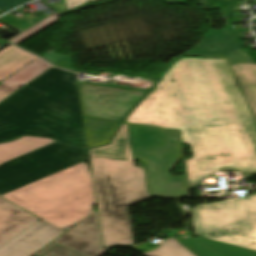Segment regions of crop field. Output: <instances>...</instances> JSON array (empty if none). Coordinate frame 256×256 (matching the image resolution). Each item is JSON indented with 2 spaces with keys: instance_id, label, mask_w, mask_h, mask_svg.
<instances>
[{
  "instance_id": "8a807250",
  "label": "crop field",
  "mask_w": 256,
  "mask_h": 256,
  "mask_svg": "<svg viewBox=\"0 0 256 256\" xmlns=\"http://www.w3.org/2000/svg\"><path fill=\"white\" fill-rule=\"evenodd\" d=\"M227 59L180 57L124 122L181 131L189 189L229 167L256 173V121Z\"/></svg>"
},
{
  "instance_id": "ac0d7876",
  "label": "crop field",
  "mask_w": 256,
  "mask_h": 256,
  "mask_svg": "<svg viewBox=\"0 0 256 256\" xmlns=\"http://www.w3.org/2000/svg\"><path fill=\"white\" fill-rule=\"evenodd\" d=\"M104 247L134 244L128 206L152 197L187 195L184 177L168 170L181 158L178 131L122 123L109 145L89 150Z\"/></svg>"
},
{
  "instance_id": "34b2d1b8",
  "label": "crop field",
  "mask_w": 256,
  "mask_h": 256,
  "mask_svg": "<svg viewBox=\"0 0 256 256\" xmlns=\"http://www.w3.org/2000/svg\"><path fill=\"white\" fill-rule=\"evenodd\" d=\"M24 134L88 148L74 73L52 67L0 103V142Z\"/></svg>"
},
{
  "instance_id": "412701ff",
  "label": "crop field",
  "mask_w": 256,
  "mask_h": 256,
  "mask_svg": "<svg viewBox=\"0 0 256 256\" xmlns=\"http://www.w3.org/2000/svg\"><path fill=\"white\" fill-rule=\"evenodd\" d=\"M2 196L61 229L81 222L96 203L85 162Z\"/></svg>"
},
{
  "instance_id": "f4fd0767",
  "label": "crop field",
  "mask_w": 256,
  "mask_h": 256,
  "mask_svg": "<svg viewBox=\"0 0 256 256\" xmlns=\"http://www.w3.org/2000/svg\"><path fill=\"white\" fill-rule=\"evenodd\" d=\"M195 235L256 250V194L192 211Z\"/></svg>"
},
{
  "instance_id": "dd49c442",
  "label": "crop field",
  "mask_w": 256,
  "mask_h": 256,
  "mask_svg": "<svg viewBox=\"0 0 256 256\" xmlns=\"http://www.w3.org/2000/svg\"><path fill=\"white\" fill-rule=\"evenodd\" d=\"M88 150L58 142L0 165V195L86 161Z\"/></svg>"
},
{
  "instance_id": "e52e79f7",
  "label": "crop field",
  "mask_w": 256,
  "mask_h": 256,
  "mask_svg": "<svg viewBox=\"0 0 256 256\" xmlns=\"http://www.w3.org/2000/svg\"><path fill=\"white\" fill-rule=\"evenodd\" d=\"M243 43L232 25L209 30L197 47L184 56L228 58L256 115V65L241 53Z\"/></svg>"
},
{
  "instance_id": "d8731c3e",
  "label": "crop field",
  "mask_w": 256,
  "mask_h": 256,
  "mask_svg": "<svg viewBox=\"0 0 256 256\" xmlns=\"http://www.w3.org/2000/svg\"><path fill=\"white\" fill-rule=\"evenodd\" d=\"M79 89L84 116L118 121H122L146 93L85 82H79Z\"/></svg>"
},
{
  "instance_id": "5a996713",
  "label": "crop field",
  "mask_w": 256,
  "mask_h": 256,
  "mask_svg": "<svg viewBox=\"0 0 256 256\" xmlns=\"http://www.w3.org/2000/svg\"><path fill=\"white\" fill-rule=\"evenodd\" d=\"M54 243L88 256H101L111 248H103L97 212L59 237Z\"/></svg>"
},
{
  "instance_id": "3316defc",
  "label": "crop field",
  "mask_w": 256,
  "mask_h": 256,
  "mask_svg": "<svg viewBox=\"0 0 256 256\" xmlns=\"http://www.w3.org/2000/svg\"><path fill=\"white\" fill-rule=\"evenodd\" d=\"M64 232L38 221L0 248V256H30Z\"/></svg>"
},
{
  "instance_id": "28ad6ade",
  "label": "crop field",
  "mask_w": 256,
  "mask_h": 256,
  "mask_svg": "<svg viewBox=\"0 0 256 256\" xmlns=\"http://www.w3.org/2000/svg\"><path fill=\"white\" fill-rule=\"evenodd\" d=\"M38 220L0 198V247Z\"/></svg>"
},
{
  "instance_id": "d1516ede",
  "label": "crop field",
  "mask_w": 256,
  "mask_h": 256,
  "mask_svg": "<svg viewBox=\"0 0 256 256\" xmlns=\"http://www.w3.org/2000/svg\"><path fill=\"white\" fill-rule=\"evenodd\" d=\"M180 242L197 256H256V251L202 237H191Z\"/></svg>"
},
{
  "instance_id": "22f410ed",
  "label": "crop field",
  "mask_w": 256,
  "mask_h": 256,
  "mask_svg": "<svg viewBox=\"0 0 256 256\" xmlns=\"http://www.w3.org/2000/svg\"><path fill=\"white\" fill-rule=\"evenodd\" d=\"M52 67L51 65L45 63L41 59H36L5 81L3 85H0V101L7 95L18 89L20 86L27 84L38 75ZM8 97V96H7Z\"/></svg>"
},
{
  "instance_id": "cbeb9de0",
  "label": "crop field",
  "mask_w": 256,
  "mask_h": 256,
  "mask_svg": "<svg viewBox=\"0 0 256 256\" xmlns=\"http://www.w3.org/2000/svg\"><path fill=\"white\" fill-rule=\"evenodd\" d=\"M89 148L108 144L121 122L84 117Z\"/></svg>"
},
{
  "instance_id": "5142ce71",
  "label": "crop field",
  "mask_w": 256,
  "mask_h": 256,
  "mask_svg": "<svg viewBox=\"0 0 256 256\" xmlns=\"http://www.w3.org/2000/svg\"><path fill=\"white\" fill-rule=\"evenodd\" d=\"M35 58L12 45L0 51V82Z\"/></svg>"
},
{
  "instance_id": "d9b57169",
  "label": "crop field",
  "mask_w": 256,
  "mask_h": 256,
  "mask_svg": "<svg viewBox=\"0 0 256 256\" xmlns=\"http://www.w3.org/2000/svg\"><path fill=\"white\" fill-rule=\"evenodd\" d=\"M52 141L54 140L25 136L12 142L0 144V163Z\"/></svg>"
},
{
  "instance_id": "733c2abd",
  "label": "crop field",
  "mask_w": 256,
  "mask_h": 256,
  "mask_svg": "<svg viewBox=\"0 0 256 256\" xmlns=\"http://www.w3.org/2000/svg\"><path fill=\"white\" fill-rule=\"evenodd\" d=\"M143 254L145 256H194L173 238L162 242L159 248Z\"/></svg>"
},
{
  "instance_id": "4a817a6b",
  "label": "crop field",
  "mask_w": 256,
  "mask_h": 256,
  "mask_svg": "<svg viewBox=\"0 0 256 256\" xmlns=\"http://www.w3.org/2000/svg\"><path fill=\"white\" fill-rule=\"evenodd\" d=\"M57 20H59V13L56 11L52 15L47 17L46 19L36 23L35 25H33L30 28L26 29L25 31L21 32L20 35L16 36L15 38H13L9 41L17 44Z\"/></svg>"
},
{
  "instance_id": "bc2a9ffb",
  "label": "crop field",
  "mask_w": 256,
  "mask_h": 256,
  "mask_svg": "<svg viewBox=\"0 0 256 256\" xmlns=\"http://www.w3.org/2000/svg\"><path fill=\"white\" fill-rule=\"evenodd\" d=\"M35 256H85V255L52 243L46 248H44L42 251L37 253Z\"/></svg>"
},
{
  "instance_id": "214f88e0",
  "label": "crop field",
  "mask_w": 256,
  "mask_h": 256,
  "mask_svg": "<svg viewBox=\"0 0 256 256\" xmlns=\"http://www.w3.org/2000/svg\"><path fill=\"white\" fill-rule=\"evenodd\" d=\"M0 21L18 32H21L26 28L30 27L31 25L35 24L25 17L18 19L10 13L0 18Z\"/></svg>"
},
{
  "instance_id": "92a150f3",
  "label": "crop field",
  "mask_w": 256,
  "mask_h": 256,
  "mask_svg": "<svg viewBox=\"0 0 256 256\" xmlns=\"http://www.w3.org/2000/svg\"><path fill=\"white\" fill-rule=\"evenodd\" d=\"M26 1L29 0H0V10L5 12Z\"/></svg>"
},
{
  "instance_id": "dafd665d",
  "label": "crop field",
  "mask_w": 256,
  "mask_h": 256,
  "mask_svg": "<svg viewBox=\"0 0 256 256\" xmlns=\"http://www.w3.org/2000/svg\"><path fill=\"white\" fill-rule=\"evenodd\" d=\"M85 2H88V0H66L67 9L69 11Z\"/></svg>"
},
{
  "instance_id": "00972430",
  "label": "crop field",
  "mask_w": 256,
  "mask_h": 256,
  "mask_svg": "<svg viewBox=\"0 0 256 256\" xmlns=\"http://www.w3.org/2000/svg\"><path fill=\"white\" fill-rule=\"evenodd\" d=\"M56 66L74 70L69 56L64 60L60 61L59 63H57Z\"/></svg>"
},
{
  "instance_id": "a9b5d70f",
  "label": "crop field",
  "mask_w": 256,
  "mask_h": 256,
  "mask_svg": "<svg viewBox=\"0 0 256 256\" xmlns=\"http://www.w3.org/2000/svg\"><path fill=\"white\" fill-rule=\"evenodd\" d=\"M90 1H92V0H90Z\"/></svg>"
}]
</instances>
